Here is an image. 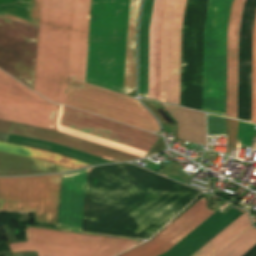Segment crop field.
Here are the masks:
<instances>
[{
	"label": "crop field",
	"instance_id": "crop-field-1",
	"mask_svg": "<svg viewBox=\"0 0 256 256\" xmlns=\"http://www.w3.org/2000/svg\"><path fill=\"white\" fill-rule=\"evenodd\" d=\"M74 0H41L34 90L65 104Z\"/></svg>",
	"mask_w": 256,
	"mask_h": 256
},
{
	"label": "crop field",
	"instance_id": "crop-field-2",
	"mask_svg": "<svg viewBox=\"0 0 256 256\" xmlns=\"http://www.w3.org/2000/svg\"><path fill=\"white\" fill-rule=\"evenodd\" d=\"M186 0H154L150 26L148 98L179 105L181 28Z\"/></svg>",
	"mask_w": 256,
	"mask_h": 256
},
{
	"label": "crop field",
	"instance_id": "crop-field-3",
	"mask_svg": "<svg viewBox=\"0 0 256 256\" xmlns=\"http://www.w3.org/2000/svg\"><path fill=\"white\" fill-rule=\"evenodd\" d=\"M58 131L143 157L159 136L68 107H59Z\"/></svg>",
	"mask_w": 256,
	"mask_h": 256
},
{
	"label": "crop field",
	"instance_id": "crop-field-4",
	"mask_svg": "<svg viewBox=\"0 0 256 256\" xmlns=\"http://www.w3.org/2000/svg\"><path fill=\"white\" fill-rule=\"evenodd\" d=\"M232 0H210L204 29L203 110L224 116L226 29Z\"/></svg>",
	"mask_w": 256,
	"mask_h": 256
},
{
	"label": "crop field",
	"instance_id": "crop-field-5",
	"mask_svg": "<svg viewBox=\"0 0 256 256\" xmlns=\"http://www.w3.org/2000/svg\"><path fill=\"white\" fill-rule=\"evenodd\" d=\"M59 175L0 178V211H36L35 219L56 225Z\"/></svg>",
	"mask_w": 256,
	"mask_h": 256
},
{
	"label": "crop field",
	"instance_id": "crop-field-6",
	"mask_svg": "<svg viewBox=\"0 0 256 256\" xmlns=\"http://www.w3.org/2000/svg\"><path fill=\"white\" fill-rule=\"evenodd\" d=\"M27 242L10 244L11 251H37L38 256H115L114 250L133 240L26 227Z\"/></svg>",
	"mask_w": 256,
	"mask_h": 256
},
{
	"label": "crop field",
	"instance_id": "crop-field-7",
	"mask_svg": "<svg viewBox=\"0 0 256 256\" xmlns=\"http://www.w3.org/2000/svg\"><path fill=\"white\" fill-rule=\"evenodd\" d=\"M66 105L150 132L159 129L153 116L137 100L70 79Z\"/></svg>",
	"mask_w": 256,
	"mask_h": 256
},
{
	"label": "crop field",
	"instance_id": "crop-field-8",
	"mask_svg": "<svg viewBox=\"0 0 256 256\" xmlns=\"http://www.w3.org/2000/svg\"><path fill=\"white\" fill-rule=\"evenodd\" d=\"M58 106L0 71V119L56 130Z\"/></svg>",
	"mask_w": 256,
	"mask_h": 256
},
{
	"label": "crop field",
	"instance_id": "crop-field-9",
	"mask_svg": "<svg viewBox=\"0 0 256 256\" xmlns=\"http://www.w3.org/2000/svg\"><path fill=\"white\" fill-rule=\"evenodd\" d=\"M38 27L0 19V68L33 89Z\"/></svg>",
	"mask_w": 256,
	"mask_h": 256
},
{
	"label": "crop field",
	"instance_id": "crop-field-10",
	"mask_svg": "<svg viewBox=\"0 0 256 256\" xmlns=\"http://www.w3.org/2000/svg\"><path fill=\"white\" fill-rule=\"evenodd\" d=\"M214 212L203 198L151 241L120 256H157L175 245Z\"/></svg>",
	"mask_w": 256,
	"mask_h": 256
},
{
	"label": "crop field",
	"instance_id": "crop-field-11",
	"mask_svg": "<svg viewBox=\"0 0 256 256\" xmlns=\"http://www.w3.org/2000/svg\"><path fill=\"white\" fill-rule=\"evenodd\" d=\"M12 124L0 120V131L9 133ZM10 133L53 142L88 154L95 156L99 154L119 161L141 158L54 130L14 123Z\"/></svg>",
	"mask_w": 256,
	"mask_h": 256
},
{
	"label": "crop field",
	"instance_id": "crop-field-12",
	"mask_svg": "<svg viewBox=\"0 0 256 256\" xmlns=\"http://www.w3.org/2000/svg\"><path fill=\"white\" fill-rule=\"evenodd\" d=\"M251 226L245 212L192 256H214ZM256 244V229L248 228L216 256H242Z\"/></svg>",
	"mask_w": 256,
	"mask_h": 256
},
{
	"label": "crop field",
	"instance_id": "crop-field-13",
	"mask_svg": "<svg viewBox=\"0 0 256 256\" xmlns=\"http://www.w3.org/2000/svg\"><path fill=\"white\" fill-rule=\"evenodd\" d=\"M86 169L63 174L58 225L81 231Z\"/></svg>",
	"mask_w": 256,
	"mask_h": 256
},
{
	"label": "crop field",
	"instance_id": "crop-field-14",
	"mask_svg": "<svg viewBox=\"0 0 256 256\" xmlns=\"http://www.w3.org/2000/svg\"><path fill=\"white\" fill-rule=\"evenodd\" d=\"M245 0H234L228 29L226 116L237 118L238 31Z\"/></svg>",
	"mask_w": 256,
	"mask_h": 256
},
{
	"label": "crop field",
	"instance_id": "crop-field-15",
	"mask_svg": "<svg viewBox=\"0 0 256 256\" xmlns=\"http://www.w3.org/2000/svg\"><path fill=\"white\" fill-rule=\"evenodd\" d=\"M91 0H75L69 76L84 81Z\"/></svg>",
	"mask_w": 256,
	"mask_h": 256
},
{
	"label": "crop field",
	"instance_id": "crop-field-16",
	"mask_svg": "<svg viewBox=\"0 0 256 256\" xmlns=\"http://www.w3.org/2000/svg\"><path fill=\"white\" fill-rule=\"evenodd\" d=\"M178 122V138L206 145L205 114L160 103Z\"/></svg>",
	"mask_w": 256,
	"mask_h": 256
},
{
	"label": "crop field",
	"instance_id": "crop-field-17",
	"mask_svg": "<svg viewBox=\"0 0 256 256\" xmlns=\"http://www.w3.org/2000/svg\"><path fill=\"white\" fill-rule=\"evenodd\" d=\"M72 169L38 159L0 152V175H23L34 173L63 172Z\"/></svg>",
	"mask_w": 256,
	"mask_h": 256
},
{
	"label": "crop field",
	"instance_id": "crop-field-18",
	"mask_svg": "<svg viewBox=\"0 0 256 256\" xmlns=\"http://www.w3.org/2000/svg\"><path fill=\"white\" fill-rule=\"evenodd\" d=\"M139 8L140 0H130L125 75L123 87V93L125 94L135 89V41Z\"/></svg>",
	"mask_w": 256,
	"mask_h": 256
},
{
	"label": "crop field",
	"instance_id": "crop-field-19",
	"mask_svg": "<svg viewBox=\"0 0 256 256\" xmlns=\"http://www.w3.org/2000/svg\"><path fill=\"white\" fill-rule=\"evenodd\" d=\"M153 0H145L139 42L140 82L139 95L147 98L149 26Z\"/></svg>",
	"mask_w": 256,
	"mask_h": 256
},
{
	"label": "crop field",
	"instance_id": "crop-field-20",
	"mask_svg": "<svg viewBox=\"0 0 256 256\" xmlns=\"http://www.w3.org/2000/svg\"><path fill=\"white\" fill-rule=\"evenodd\" d=\"M0 151L42 159V160L49 161V162L59 164L65 167H69L72 169L90 166L88 164L78 162V161H75L60 155H56L47 151L32 149V148H27L22 146H16L11 144L1 143V142H0Z\"/></svg>",
	"mask_w": 256,
	"mask_h": 256
},
{
	"label": "crop field",
	"instance_id": "crop-field-21",
	"mask_svg": "<svg viewBox=\"0 0 256 256\" xmlns=\"http://www.w3.org/2000/svg\"><path fill=\"white\" fill-rule=\"evenodd\" d=\"M40 0H29L28 19L7 12H0V18L38 26Z\"/></svg>",
	"mask_w": 256,
	"mask_h": 256
},
{
	"label": "crop field",
	"instance_id": "crop-field-22",
	"mask_svg": "<svg viewBox=\"0 0 256 256\" xmlns=\"http://www.w3.org/2000/svg\"><path fill=\"white\" fill-rule=\"evenodd\" d=\"M252 122L256 123V19L253 31Z\"/></svg>",
	"mask_w": 256,
	"mask_h": 256
},
{
	"label": "crop field",
	"instance_id": "crop-field-23",
	"mask_svg": "<svg viewBox=\"0 0 256 256\" xmlns=\"http://www.w3.org/2000/svg\"><path fill=\"white\" fill-rule=\"evenodd\" d=\"M208 134L225 135V118L207 114Z\"/></svg>",
	"mask_w": 256,
	"mask_h": 256
},
{
	"label": "crop field",
	"instance_id": "crop-field-24",
	"mask_svg": "<svg viewBox=\"0 0 256 256\" xmlns=\"http://www.w3.org/2000/svg\"><path fill=\"white\" fill-rule=\"evenodd\" d=\"M238 121L226 118L227 128V152L230 153V147L235 148Z\"/></svg>",
	"mask_w": 256,
	"mask_h": 256
}]
</instances>
